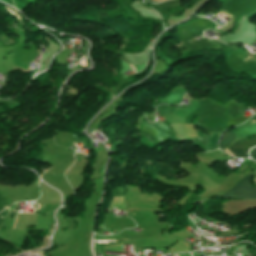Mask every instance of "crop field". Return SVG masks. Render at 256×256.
<instances>
[{"label":"crop field","instance_id":"crop-field-1","mask_svg":"<svg viewBox=\"0 0 256 256\" xmlns=\"http://www.w3.org/2000/svg\"><path fill=\"white\" fill-rule=\"evenodd\" d=\"M251 180L244 178L236 187L223 195V197H237L256 199V188H250Z\"/></svg>","mask_w":256,"mask_h":256},{"label":"crop field","instance_id":"crop-field-2","mask_svg":"<svg viewBox=\"0 0 256 256\" xmlns=\"http://www.w3.org/2000/svg\"><path fill=\"white\" fill-rule=\"evenodd\" d=\"M238 143H240L239 141H236L235 143H233V145L231 147H229L228 149L230 150V152L232 154H234L236 157H244V158H248V150L254 146H256V139H252L242 142L240 143V145L247 151H245ZM228 149H225L224 152L232 155ZM233 156V155H232Z\"/></svg>","mask_w":256,"mask_h":256},{"label":"crop field","instance_id":"crop-field-3","mask_svg":"<svg viewBox=\"0 0 256 256\" xmlns=\"http://www.w3.org/2000/svg\"><path fill=\"white\" fill-rule=\"evenodd\" d=\"M234 140H236L235 135L233 132H228L223 134V138L221 141V148L222 150L228 147Z\"/></svg>","mask_w":256,"mask_h":256},{"label":"crop field","instance_id":"crop-field-4","mask_svg":"<svg viewBox=\"0 0 256 256\" xmlns=\"http://www.w3.org/2000/svg\"><path fill=\"white\" fill-rule=\"evenodd\" d=\"M209 134H210V138L207 146L216 148V140L220 135V133H209Z\"/></svg>","mask_w":256,"mask_h":256},{"label":"crop field","instance_id":"crop-field-5","mask_svg":"<svg viewBox=\"0 0 256 256\" xmlns=\"http://www.w3.org/2000/svg\"><path fill=\"white\" fill-rule=\"evenodd\" d=\"M251 158L256 160V148H254L253 150H251V154H250Z\"/></svg>","mask_w":256,"mask_h":256},{"label":"crop field","instance_id":"crop-field-6","mask_svg":"<svg viewBox=\"0 0 256 256\" xmlns=\"http://www.w3.org/2000/svg\"><path fill=\"white\" fill-rule=\"evenodd\" d=\"M18 213V212H17ZM16 218H17V216H16ZM15 222H16V219H15ZM14 227H15V223H14ZM14 227H13V229H14Z\"/></svg>","mask_w":256,"mask_h":256},{"label":"crop field","instance_id":"crop-field-7","mask_svg":"<svg viewBox=\"0 0 256 256\" xmlns=\"http://www.w3.org/2000/svg\"><path fill=\"white\" fill-rule=\"evenodd\" d=\"M254 180H255V182H256V175H255V177H254Z\"/></svg>","mask_w":256,"mask_h":256}]
</instances>
